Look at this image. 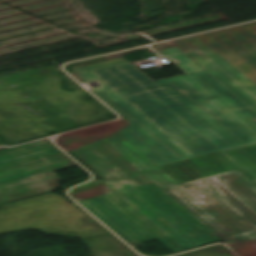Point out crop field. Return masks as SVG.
<instances>
[{
  "label": "crop field",
  "mask_w": 256,
  "mask_h": 256,
  "mask_svg": "<svg viewBox=\"0 0 256 256\" xmlns=\"http://www.w3.org/2000/svg\"><path fill=\"white\" fill-rule=\"evenodd\" d=\"M100 184H103V182L90 181L88 183H85L83 185H80V186H77V187L71 189L69 191V193L73 194V193H76V192H79V191H83V190L89 189L91 187H94L96 185H100Z\"/></svg>",
  "instance_id": "d8731c3e"
},
{
  "label": "crop field",
  "mask_w": 256,
  "mask_h": 256,
  "mask_svg": "<svg viewBox=\"0 0 256 256\" xmlns=\"http://www.w3.org/2000/svg\"><path fill=\"white\" fill-rule=\"evenodd\" d=\"M219 54L256 84V44Z\"/></svg>",
  "instance_id": "e52e79f7"
},
{
  "label": "crop field",
  "mask_w": 256,
  "mask_h": 256,
  "mask_svg": "<svg viewBox=\"0 0 256 256\" xmlns=\"http://www.w3.org/2000/svg\"><path fill=\"white\" fill-rule=\"evenodd\" d=\"M242 168L163 188L222 240L256 229V187ZM242 245L234 249L242 256L256 255V231L234 236Z\"/></svg>",
  "instance_id": "412701ff"
},
{
  "label": "crop field",
  "mask_w": 256,
  "mask_h": 256,
  "mask_svg": "<svg viewBox=\"0 0 256 256\" xmlns=\"http://www.w3.org/2000/svg\"><path fill=\"white\" fill-rule=\"evenodd\" d=\"M70 153L105 183L73 194L78 201L149 182L162 188L240 167L256 179V144L160 167L119 134Z\"/></svg>",
  "instance_id": "ac0d7876"
},
{
  "label": "crop field",
  "mask_w": 256,
  "mask_h": 256,
  "mask_svg": "<svg viewBox=\"0 0 256 256\" xmlns=\"http://www.w3.org/2000/svg\"><path fill=\"white\" fill-rule=\"evenodd\" d=\"M159 52L187 75L153 82L127 61L79 75L130 122L122 137L157 166L256 142L255 84L219 54L194 59L205 71L177 47Z\"/></svg>",
  "instance_id": "8a807250"
},
{
  "label": "crop field",
  "mask_w": 256,
  "mask_h": 256,
  "mask_svg": "<svg viewBox=\"0 0 256 256\" xmlns=\"http://www.w3.org/2000/svg\"><path fill=\"white\" fill-rule=\"evenodd\" d=\"M74 165L46 140L0 151V203L54 190L52 171Z\"/></svg>",
  "instance_id": "f4fd0767"
},
{
  "label": "crop field",
  "mask_w": 256,
  "mask_h": 256,
  "mask_svg": "<svg viewBox=\"0 0 256 256\" xmlns=\"http://www.w3.org/2000/svg\"><path fill=\"white\" fill-rule=\"evenodd\" d=\"M187 50L214 49L217 52L256 43V21L175 40Z\"/></svg>",
  "instance_id": "dd49c442"
},
{
  "label": "crop field",
  "mask_w": 256,
  "mask_h": 256,
  "mask_svg": "<svg viewBox=\"0 0 256 256\" xmlns=\"http://www.w3.org/2000/svg\"><path fill=\"white\" fill-rule=\"evenodd\" d=\"M80 203L131 244L158 239L175 253L220 240L154 184Z\"/></svg>",
  "instance_id": "34b2d1b8"
}]
</instances>
